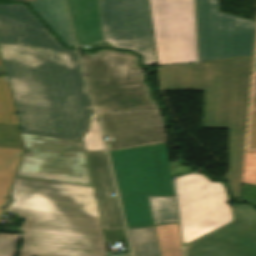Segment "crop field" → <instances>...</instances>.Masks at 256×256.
Segmentation results:
<instances>
[{
    "instance_id": "1",
    "label": "crop field",
    "mask_w": 256,
    "mask_h": 256,
    "mask_svg": "<svg viewBox=\"0 0 256 256\" xmlns=\"http://www.w3.org/2000/svg\"><path fill=\"white\" fill-rule=\"evenodd\" d=\"M57 42L24 4L0 5V51L23 132L80 141L92 109L75 50Z\"/></svg>"
},
{
    "instance_id": "2",
    "label": "crop field",
    "mask_w": 256,
    "mask_h": 256,
    "mask_svg": "<svg viewBox=\"0 0 256 256\" xmlns=\"http://www.w3.org/2000/svg\"><path fill=\"white\" fill-rule=\"evenodd\" d=\"M5 212L26 218L19 256H108L93 187L17 177Z\"/></svg>"
},
{
    "instance_id": "3",
    "label": "crop field",
    "mask_w": 256,
    "mask_h": 256,
    "mask_svg": "<svg viewBox=\"0 0 256 256\" xmlns=\"http://www.w3.org/2000/svg\"><path fill=\"white\" fill-rule=\"evenodd\" d=\"M108 150L167 142L163 121L142 82L134 54L105 50L80 56Z\"/></svg>"
},
{
    "instance_id": "4",
    "label": "crop field",
    "mask_w": 256,
    "mask_h": 256,
    "mask_svg": "<svg viewBox=\"0 0 256 256\" xmlns=\"http://www.w3.org/2000/svg\"><path fill=\"white\" fill-rule=\"evenodd\" d=\"M252 56L160 70L163 90H205L202 128H230L226 179L240 198Z\"/></svg>"
},
{
    "instance_id": "5",
    "label": "crop field",
    "mask_w": 256,
    "mask_h": 256,
    "mask_svg": "<svg viewBox=\"0 0 256 256\" xmlns=\"http://www.w3.org/2000/svg\"><path fill=\"white\" fill-rule=\"evenodd\" d=\"M78 47L105 41L155 64L148 0H66Z\"/></svg>"
},
{
    "instance_id": "6",
    "label": "crop field",
    "mask_w": 256,
    "mask_h": 256,
    "mask_svg": "<svg viewBox=\"0 0 256 256\" xmlns=\"http://www.w3.org/2000/svg\"><path fill=\"white\" fill-rule=\"evenodd\" d=\"M183 244L233 221L221 183L198 173L175 179Z\"/></svg>"
},
{
    "instance_id": "7",
    "label": "crop field",
    "mask_w": 256,
    "mask_h": 256,
    "mask_svg": "<svg viewBox=\"0 0 256 256\" xmlns=\"http://www.w3.org/2000/svg\"><path fill=\"white\" fill-rule=\"evenodd\" d=\"M26 148L20 177L90 185L84 144L77 141L23 133Z\"/></svg>"
},
{
    "instance_id": "8",
    "label": "crop field",
    "mask_w": 256,
    "mask_h": 256,
    "mask_svg": "<svg viewBox=\"0 0 256 256\" xmlns=\"http://www.w3.org/2000/svg\"><path fill=\"white\" fill-rule=\"evenodd\" d=\"M158 65L197 61L194 0H149Z\"/></svg>"
},
{
    "instance_id": "9",
    "label": "crop field",
    "mask_w": 256,
    "mask_h": 256,
    "mask_svg": "<svg viewBox=\"0 0 256 256\" xmlns=\"http://www.w3.org/2000/svg\"><path fill=\"white\" fill-rule=\"evenodd\" d=\"M199 61L252 55L255 22L218 12L217 0H196Z\"/></svg>"
},
{
    "instance_id": "10",
    "label": "crop field",
    "mask_w": 256,
    "mask_h": 256,
    "mask_svg": "<svg viewBox=\"0 0 256 256\" xmlns=\"http://www.w3.org/2000/svg\"><path fill=\"white\" fill-rule=\"evenodd\" d=\"M109 153L120 194L175 195L167 144Z\"/></svg>"
},
{
    "instance_id": "11",
    "label": "crop field",
    "mask_w": 256,
    "mask_h": 256,
    "mask_svg": "<svg viewBox=\"0 0 256 256\" xmlns=\"http://www.w3.org/2000/svg\"><path fill=\"white\" fill-rule=\"evenodd\" d=\"M234 221L184 246L188 256H256V210L232 205Z\"/></svg>"
},
{
    "instance_id": "12",
    "label": "crop field",
    "mask_w": 256,
    "mask_h": 256,
    "mask_svg": "<svg viewBox=\"0 0 256 256\" xmlns=\"http://www.w3.org/2000/svg\"><path fill=\"white\" fill-rule=\"evenodd\" d=\"M103 230L125 229L105 151L87 152Z\"/></svg>"
},
{
    "instance_id": "13",
    "label": "crop field",
    "mask_w": 256,
    "mask_h": 256,
    "mask_svg": "<svg viewBox=\"0 0 256 256\" xmlns=\"http://www.w3.org/2000/svg\"><path fill=\"white\" fill-rule=\"evenodd\" d=\"M29 4L68 47H75L64 0H35Z\"/></svg>"
},
{
    "instance_id": "14",
    "label": "crop field",
    "mask_w": 256,
    "mask_h": 256,
    "mask_svg": "<svg viewBox=\"0 0 256 256\" xmlns=\"http://www.w3.org/2000/svg\"><path fill=\"white\" fill-rule=\"evenodd\" d=\"M128 228L153 225L145 195H120Z\"/></svg>"
},
{
    "instance_id": "15",
    "label": "crop field",
    "mask_w": 256,
    "mask_h": 256,
    "mask_svg": "<svg viewBox=\"0 0 256 256\" xmlns=\"http://www.w3.org/2000/svg\"><path fill=\"white\" fill-rule=\"evenodd\" d=\"M23 150L0 148V213L4 206Z\"/></svg>"
},
{
    "instance_id": "16",
    "label": "crop field",
    "mask_w": 256,
    "mask_h": 256,
    "mask_svg": "<svg viewBox=\"0 0 256 256\" xmlns=\"http://www.w3.org/2000/svg\"><path fill=\"white\" fill-rule=\"evenodd\" d=\"M134 256H160L153 226L128 229Z\"/></svg>"
},
{
    "instance_id": "17",
    "label": "crop field",
    "mask_w": 256,
    "mask_h": 256,
    "mask_svg": "<svg viewBox=\"0 0 256 256\" xmlns=\"http://www.w3.org/2000/svg\"><path fill=\"white\" fill-rule=\"evenodd\" d=\"M154 227L161 256H182L178 223Z\"/></svg>"
},
{
    "instance_id": "18",
    "label": "crop field",
    "mask_w": 256,
    "mask_h": 256,
    "mask_svg": "<svg viewBox=\"0 0 256 256\" xmlns=\"http://www.w3.org/2000/svg\"><path fill=\"white\" fill-rule=\"evenodd\" d=\"M154 225L178 222L175 196H148Z\"/></svg>"
},
{
    "instance_id": "19",
    "label": "crop field",
    "mask_w": 256,
    "mask_h": 256,
    "mask_svg": "<svg viewBox=\"0 0 256 256\" xmlns=\"http://www.w3.org/2000/svg\"><path fill=\"white\" fill-rule=\"evenodd\" d=\"M0 123L19 125L7 81L0 77Z\"/></svg>"
},
{
    "instance_id": "20",
    "label": "crop field",
    "mask_w": 256,
    "mask_h": 256,
    "mask_svg": "<svg viewBox=\"0 0 256 256\" xmlns=\"http://www.w3.org/2000/svg\"><path fill=\"white\" fill-rule=\"evenodd\" d=\"M0 147L25 148L24 138L18 126L0 124Z\"/></svg>"
},
{
    "instance_id": "21",
    "label": "crop field",
    "mask_w": 256,
    "mask_h": 256,
    "mask_svg": "<svg viewBox=\"0 0 256 256\" xmlns=\"http://www.w3.org/2000/svg\"><path fill=\"white\" fill-rule=\"evenodd\" d=\"M82 142L85 144L86 151L105 150L99 124L94 113L92 114L90 127L84 135Z\"/></svg>"
},
{
    "instance_id": "22",
    "label": "crop field",
    "mask_w": 256,
    "mask_h": 256,
    "mask_svg": "<svg viewBox=\"0 0 256 256\" xmlns=\"http://www.w3.org/2000/svg\"><path fill=\"white\" fill-rule=\"evenodd\" d=\"M20 236L0 234V256H13Z\"/></svg>"
},
{
    "instance_id": "23",
    "label": "crop field",
    "mask_w": 256,
    "mask_h": 256,
    "mask_svg": "<svg viewBox=\"0 0 256 256\" xmlns=\"http://www.w3.org/2000/svg\"><path fill=\"white\" fill-rule=\"evenodd\" d=\"M248 148H256V75H254L253 81Z\"/></svg>"
},
{
    "instance_id": "24",
    "label": "crop field",
    "mask_w": 256,
    "mask_h": 256,
    "mask_svg": "<svg viewBox=\"0 0 256 256\" xmlns=\"http://www.w3.org/2000/svg\"><path fill=\"white\" fill-rule=\"evenodd\" d=\"M106 242L123 240L126 246V253H130L125 230L103 231Z\"/></svg>"
},
{
    "instance_id": "25",
    "label": "crop field",
    "mask_w": 256,
    "mask_h": 256,
    "mask_svg": "<svg viewBox=\"0 0 256 256\" xmlns=\"http://www.w3.org/2000/svg\"><path fill=\"white\" fill-rule=\"evenodd\" d=\"M254 71H256V55H255V66H254Z\"/></svg>"
},
{
    "instance_id": "26",
    "label": "crop field",
    "mask_w": 256,
    "mask_h": 256,
    "mask_svg": "<svg viewBox=\"0 0 256 256\" xmlns=\"http://www.w3.org/2000/svg\"><path fill=\"white\" fill-rule=\"evenodd\" d=\"M22 1H27V2H31V1H33V0H22Z\"/></svg>"
},
{
    "instance_id": "27",
    "label": "crop field",
    "mask_w": 256,
    "mask_h": 256,
    "mask_svg": "<svg viewBox=\"0 0 256 256\" xmlns=\"http://www.w3.org/2000/svg\"><path fill=\"white\" fill-rule=\"evenodd\" d=\"M0 68H3V67H2V64H1V60H0Z\"/></svg>"
},
{
    "instance_id": "28",
    "label": "crop field",
    "mask_w": 256,
    "mask_h": 256,
    "mask_svg": "<svg viewBox=\"0 0 256 256\" xmlns=\"http://www.w3.org/2000/svg\"><path fill=\"white\" fill-rule=\"evenodd\" d=\"M128 256H131V255H128Z\"/></svg>"
}]
</instances>
